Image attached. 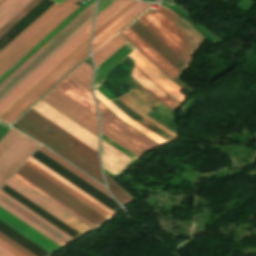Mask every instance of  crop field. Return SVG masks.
Here are the masks:
<instances>
[{"mask_svg":"<svg viewBox=\"0 0 256 256\" xmlns=\"http://www.w3.org/2000/svg\"><path fill=\"white\" fill-rule=\"evenodd\" d=\"M21 117H23L39 129H41L42 131L56 139L57 141L61 142L62 144H64L65 146H67L68 148H70L71 150H73L74 152H76L77 154H79L80 156H82L83 158H85L98 168H100L98 152L88 147L75 137L71 136L58 126L54 125L41 115L37 114L36 112L30 109ZM21 117L14 124L28 132L29 134H31L32 136H34L35 138H37L38 140H40L41 142L55 150L56 152H58L60 155H62L63 157H65L66 159H68L69 161H71L72 163H74L75 165H77L78 167H80L81 169H83L84 171H86L99 181H101L102 183H104L101 177L100 169H98L97 167H95L94 165H92L91 163H89L88 161H86L85 159H83L82 157H80L79 155H77L64 145L60 144L59 142H57L56 140H54L53 138H51L50 136H48L47 134H45L44 132H42L41 130H39L38 128H36L35 126H33Z\"/></svg>","mask_w":256,"mask_h":256,"instance_id":"crop-field-1","label":"crop field"},{"mask_svg":"<svg viewBox=\"0 0 256 256\" xmlns=\"http://www.w3.org/2000/svg\"><path fill=\"white\" fill-rule=\"evenodd\" d=\"M92 2H94V0H90L89 2L81 6L77 11H75L69 18H67L61 25H59L53 32H51L44 40H42L28 54H26L20 61H18L4 75H2L0 77V81H2L8 74H10L16 67H18L24 60H26L32 53H34L40 46H42L48 39H50L56 32H58L64 25H66L72 18H74L80 11H82ZM94 7L95 3H92L90 6L85 8L66 26H64L58 33H56L50 40H48L42 47H40L34 54H32L26 61H24L18 68H16L10 75H8L2 82H0V90L4 86H6L11 80H13L18 74H20L25 68H27L32 62H34L47 49H49L54 43H56L61 37H63L68 31H70L90 12H92L94 10ZM93 12L90 13L85 19H83L78 25H76L56 44H54L49 50H47L42 56H40L34 63H32L27 69H25L20 75H18L6 87H4L0 91V99L4 95H6L11 89H13L19 82H21L27 75H29L35 68H37L42 62H44L50 55H52L58 48H60L65 42H67L73 35H75L90 20H92Z\"/></svg>","mask_w":256,"mask_h":256,"instance_id":"crop-field-2","label":"crop field"},{"mask_svg":"<svg viewBox=\"0 0 256 256\" xmlns=\"http://www.w3.org/2000/svg\"><path fill=\"white\" fill-rule=\"evenodd\" d=\"M79 0L55 3L0 51V76L79 6Z\"/></svg>","mask_w":256,"mask_h":256,"instance_id":"crop-field-3","label":"crop field"},{"mask_svg":"<svg viewBox=\"0 0 256 256\" xmlns=\"http://www.w3.org/2000/svg\"><path fill=\"white\" fill-rule=\"evenodd\" d=\"M138 20L187 63L203 41L189 25L162 6L157 12L149 10Z\"/></svg>","mask_w":256,"mask_h":256,"instance_id":"crop-field-4","label":"crop field"},{"mask_svg":"<svg viewBox=\"0 0 256 256\" xmlns=\"http://www.w3.org/2000/svg\"><path fill=\"white\" fill-rule=\"evenodd\" d=\"M128 27L180 72L182 67L185 65V62L171 49H169L161 40H159L152 32H150L143 24L137 20ZM128 27L121 33L125 38H127L171 79L179 73Z\"/></svg>","mask_w":256,"mask_h":256,"instance_id":"crop-field-5","label":"crop field"},{"mask_svg":"<svg viewBox=\"0 0 256 256\" xmlns=\"http://www.w3.org/2000/svg\"><path fill=\"white\" fill-rule=\"evenodd\" d=\"M39 145L13 128L3 137L0 141V187Z\"/></svg>","mask_w":256,"mask_h":256,"instance_id":"crop-field-6","label":"crop field"},{"mask_svg":"<svg viewBox=\"0 0 256 256\" xmlns=\"http://www.w3.org/2000/svg\"><path fill=\"white\" fill-rule=\"evenodd\" d=\"M91 23L92 21L88 23L84 28L82 27V30H80L74 37H72L66 44H64L58 51H56L50 58H48L42 65H40L5 97H3L0 100V113H2L8 106H10L16 99H18L24 92H26L32 85H34L40 78H42L78 45H80L86 38H88L90 36Z\"/></svg>","mask_w":256,"mask_h":256,"instance_id":"crop-field-7","label":"crop field"},{"mask_svg":"<svg viewBox=\"0 0 256 256\" xmlns=\"http://www.w3.org/2000/svg\"><path fill=\"white\" fill-rule=\"evenodd\" d=\"M16 173L57 199L59 202L94 224L100 226L104 224L108 219L28 167L23 165Z\"/></svg>","mask_w":256,"mask_h":256,"instance_id":"crop-field-8","label":"crop field"},{"mask_svg":"<svg viewBox=\"0 0 256 256\" xmlns=\"http://www.w3.org/2000/svg\"><path fill=\"white\" fill-rule=\"evenodd\" d=\"M6 185L23 195L24 197H26L63 223L75 218L74 216H72L71 214H69L68 212H66L65 210H63L62 208H60L59 206H57L56 204H54L53 202H51L14 176L8 181ZM65 224L81 235L93 230L91 229L92 227H88L76 218Z\"/></svg>","mask_w":256,"mask_h":256,"instance_id":"crop-field-9","label":"crop field"},{"mask_svg":"<svg viewBox=\"0 0 256 256\" xmlns=\"http://www.w3.org/2000/svg\"><path fill=\"white\" fill-rule=\"evenodd\" d=\"M31 109L36 111L37 113L41 114L54 124L58 125L71 135L75 136L88 146L92 147L96 151L97 149V142L98 137L87 131L86 129L82 128L57 110L53 109L43 101H39L37 104H35Z\"/></svg>","mask_w":256,"mask_h":256,"instance_id":"crop-field-10","label":"crop field"},{"mask_svg":"<svg viewBox=\"0 0 256 256\" xmlns=\"http://www.w3.org/2000/svg\"><path fill=\"white\" fill-rule=\"evenodd\" d=\"M42 99L98 135L97 117L75 104L56 90L53 89Z\"/></svg>","mask_w":256,"mask_h":256,"instance_id":"crop-field-11","label":"crop field"},{"mask_svg":"<svg viewBox=\"0 0 256 256\" xmlns=\"http://www.w3.org/2000/svg\"><path fill=\"white\" fill-rule=\"evenodd\" d=\"M88 46L84 47L76 56H74L65 66H63L56 74H54L48 81L32 93L26 100H24L16 109H14L2 121L10 123L19 114H21L27 107H29L35 100H37L43 93H45L51 86H53L59 79H61L67 72H69L75 65H77L83 58L88 55Z\"/></svg>","mask_w":256,"mask_h":256,"instance_id":"crop-field-12","label":"crop field"},{"mask_svg":"<svg viewBox=\"0 0 256 256\" xmlns=\"http://www.w3.org/2000/svg\"><path fill=\"white\" fill-rule=\"evenodd\" d=\"M130 57L136 61L137 66L144 74H146L153 82H155L162 90L176 100L180 101L185 97L176 84L166 77L159 69H157L150 61H148L137 50L130 54Z\"/></svg>","mask_w":256,"mask_h":256,"instance_id":"crop-field-13","label":"crop field"},{"mask_svg":"<svg viewBox=\"0 0 256 256\" xmlns=\"http://www.w3.org/2000/svg\"><path fill=\"white\" fill-rule=\"evenodd\" d=\"M99 110L101 113V123L105 124L109 128L118 132L122 136L126 137L130 141L139 145L143 149L149 151L159 145L155 144L151 140L147 139L143 135L139 134L135 130L131 129L127 125L123 124L115 115H113L108 109H106L100 102H98Z\"/></svg>","mask_w":256,"mask_h":256,"instance_id":"crop-field-14","label":"crop field"},{"mask_svg":"<svg viewBox=\"0 0 256 256\" xmlns=\"http://www.w3.org/2000/svg\"><path fill=\"white\" fill-rule=\"evenodd\" d=\"M140 98H142L149 106H154L159 101L156 100L152 95H150L145 89H143L141 86L137 89L133 90ZM123 103H125L130 109L144 117L146 120L150 121L160 129L164 130L165 132L169 133L173 137L176 138V134L172 133L171 131L167 130L164 126L157 123L153 119L149 118L145 114L148 113L150 110L149 107H147L136 95H134L132 92L119 98Z\"/></svg>","mask_w":256,"mask_h":256,"instance_id":"crop-field-15","label":"crop field"},{"mask_svg":"<svg viewBox=\"0 0 256 256\" xmlns=\"http://www.w3.org/2000/svg\"><path fill=\"white\" fill-rule=\"evenodd\" d=\"M0 220L49 253L59 247L2 208H0Z\"/></svg>","mask_w":256,"mask_h":256,"instance_id":"crop-field-16","label":"crop field"},{"mask_svg":"<svg viewBox=\"0 0 256 256\" xmlns=\"http://www.w3.org/2000/svg\"><path fill=\"white\" fill-rule=\"evenodd\" d=\"M54 89L97 116L92 94L74 83L69 78L66 77Z\"/></svg>","mask_w":256,"mask_h":256,"instance_id":"crop-field-17","label":"crop field"},{"mask_svg":"<svg viewBox=\"0 0 256 256\" xmlns=\"http://www.w3.org/2000/svg\"><path fill=\"white\" fill-rule=\"evenodd\" d=\"M101 155L104 169L117 176L135 162L103 141Z\"/></svg>","mask_w":256,"mask_h":256,"instance_id":"crop-field-18","label":"crop field"},{"mask_svg":"<svg viewBox=\"0 0 256 256\" xmlns=\"http://www.w3.org/2000/svg\"><path fill=\"white\" fill-rule=\"evenodd\" d=\"M131 76L149 93H151L155 98L160 100L165 106L174 112L179 103L174 101L172 98L167 96L163 91H161L155 84H153L147 77H145L139 70L133 67Z\"/></svg>","mask_w":256,"mask_h":256,"instance_id":"crop-field-19","label":"crop field"},{"mask_svg":"<svg viewBox=\"0 0 256 256\" xmlns=\"http://www.w3.org/2000/svg\"><path fill=\"white\" fill-rule=\"evenodd\" d=\"M133 50L134 48L129 43H127L110 58H108L104 63L97 67L94 88L98 89L102 81L105 79L107 73Z\"/></svg>","mask_w":256,"mask_h":256,"instance_id":"crop-field-20","label":"crop field"},{"mask_svg":"<svg viewBox=\"0 0 256 256\" xmlns=\"http://www.w3.org/2000/svg\"><path fill=\"white\" fill-rule=\"evenodd\" d=\"M89 39H86L80 46H78L73 52H71L65 59H63L58 65H56L50 72H48L42 79H40L33 87H31L24 95H22L15 103H13L6 111L0 115L2 120L7 116L15 107H17L24 99H26L33 91H35L41 84H43L50 76H52L59 68H61L67 61H69L76 53H78L84 46L89 43Z\"/></svg>","mask_w":256,"mask_h":256,"instance_id":"crop-field-21","label":"crop field"},{"mask_svg":"<svg viewBox=\"0 0 256 256\" xmlns=\"http://www.w3.org/2000/svg\"><path fill=\"white\" fill-rule=\"evenodd\" d=\"M95 96L98 100H100L105 106H107L111 111H113L118 117H120L128 125L132 126L133 128H135L139 132L143 133L144 135H146L147 137H149L150 139H152L153 141L157 142L160 145L167 143L166 141H164L160 137L156 136L155 134H153L146 128L140 126L139 124H137L136 122L131 120L117 106H115L111 101H108L107 99H105L97 91H95Z\"/></svg>","mask_w":256,"mask_h":256,"instance_id":"crop-field-22","label":"crop field"},{"mask_svg":"<svg viewBox=\"0 0 256 256\" xmlns=\"http://www.w3.org/2000/svg\"><path fill=\"white\" fill-rule=\"evenodd\" d=\"M28 161H30L31 163H33L34 165H36L46 173L50 174L51 176H53L54 178H56L57 180H59L60 182H62L63 184H65L66 186H68L69 188H71L72 190H74L84 198H86L87 200H89L90 202L94 203L95 205H97L98 207H100L110 215L112 216L114 215L115 212H113L112 210H110L109 208H107L106 206H104L103 204H101L100 202H98L97 200H95L94 198H92L91 196H89L88 194H86L85 192H83L82 190H80L79 188H77L76 186H74L73 184H71L70 182H68L58 174H56L55 172H53L52 170H50L49 168H47L46 166L38 162L37 160H35L34 158L31 157Z\"/></svg>","mask_w":256,"mask_h":256,"instance_id":"crop-field-23","label":"crop field"},{"mask_svg":"<svg viewBox=\"0 0 256 256\" xmlns=\"http://www.w3.org/2000/svg\"><path fill=\"white\" fill-rule=\"evenodd\" d=\"M127 42L122 39L119 35L113 37L109 42L102 46L93 55L95 66H99L103 61L115 53L119 48H121Z\"/></svg>","mask_w":256,"mask_h":256,"instance_id":"crop-field-24","label":"crop field"},{"mask_svg":"<svg viewBox=\"0 0 256 256\" xmlns=\"http://www.w3.org/2000/svg\"><path fill=\"white\" fill-rule=\"evenodd\" d=\"M38 150H40L41 152H43L44 154H46L47 156H49L50 158H52L53 160H55L56 162H58L59 164H61L62 166H64L65 168H67L68 170H70L71 172H73L74 174H76L77 176H79L80 178H82L83 180H85L86 182H88L89 184H91L92 186H94L95 188H97L98 190H100L101 192L110 197L105 187H103L102 185H100L99 183H97L96 181H94L93 179H91L90 177H88L87 175H85L84 173H82L81 171H79L78 169H76L63 159L58 157L45 147L41 146Z\"/></svg>","mask_w":256,"mask_h":256,"instance_id":"crop-field-25","label":"crop field"},{"mask_svg":"<svg viewBox=\"0 0 256 256\" xmlns=\"http://www.w3.org/2000/svg\"><path fill=\"white\" fill-rule=\"evenodd\" d=\"M149 6L150 4L144 3L138 9H136L132 14H130L127 18H125L122 22H120L116 27H114L111 31H109L105 36H103L100 40H98L94 45H92V52H94L100 46H102L105 42H107L111 37H113L116 33H118L126 25H128L132 20H134L137 16H139Z\"/></svg>","mask_w":256,"mask_h":256,"instance_id":"crop-field-26","label":"crop field"},{"mask_svg":"<svg viewBox=\"0 0 256 256\" xmlns=\"http://www.w3.org/2000/svg\"><path fill=\"white\" fill-rule=\"evenodd\" d=\"M101 134L105 135L109 139L113 140L114 142L118 143L139 157L147 152L103 124H101Z\"/></svg>","mask_w":256,"mask_h":256,"instance_id":"crop-field-27","label":"crop field"},{"mask_svg":"<svg viewBox=\"0 0 256 256\" xmlns=\"http://www.w3.org/2000/svg\"><path fill=\"white\" fill-rule=\"evenodd\" d=\"M67 77L72 79L74 82L85 88L87 91L91 93L90 82L92 78V68L86 63H82L78 66L72 73H70Z\"/></svg>","mask_w":256,"mask_h":256,"instance_id":"crop-field-28","label":"crop field"},{"mask_svg":"<svg viewBox=\"0 0 256 256\" xmlns=\"http://www.w3.org/2000/svg\"><path fill=\"white\" fill-rule=\"evenodd\" d=\"M0 200L6 203L7 205H9L10 207H12L13 209H15L16 211H18L19 213H21L22 215H24L25 217H27L28 219H30L31 221H33L34 223H36L37 225H39L40 227H42L43 229H45L46 231H48L49 233H51L52 235H54L55 237H57L58 239H60L61 241H63L64 243L67 244L71 242L1 194H0Z\"/></svg>","mask_w":256,"mask_h":256,"instance_id":"crop-field-29","label":"crop field"},{"mask_svg":"<svg viewBox=\"0 0 256 256\" xmlns=\"http://www.w3.org/2000/svg\"><path fill=\"white\" fill-rule=\"evenodd\" d=\"M25 164H27L28 166H30L31 168H33L34 170H36L37 172H39L40 174H42L43 176H45L46 178H48L49 180H51L52 182H54L55 184H57L58 186H60L61 188H63L64 190H66L67 192H69L70 194H72L73 196H75L76 198H78L88 206H90L91 208H93L94 210H96L97 212H99L100 214H102L103 216H105L106 218L109 219L110 217H112L106 212H104L103 210H101L100 208H98L97 206H95L94 204L90 203L89 201H87L86 199H84L74 191H72L71 189H69L68 187H66L65 185H63L62 183H60L59 181H57L56 179H54L53 177H51L50 175L46 174L45 172H43L42 170H40L39 168L31 164L30 162L27 161Z\"/></svg>","mask_w":256,"mask_h":256,"instance_id":"crop-field-30","label":"crop field"},{"mask_svg":"<svg viewBox=\"0 0 256 256\" xmlns=\"http://www.w3.org/2000/svg\"><path fill=\"white\" fill-rule=\"evenodd\" d=\"M128 2H130V0H115L112 4H110L106 9L97 15L95 29H97L112 15L124 7Z\"/></svg>","mask_w":256,"mask_h":256,"instance_id":"crop-field-31","label":"crop field"},{"mask_svg":"<svg viewBox=\"0 0 256 256\" xmlns=\"http://www.w3.org/2000/svg\"><path fill=\"white\" fill-rule=\"evenodd\" d=\"M0 206L3 207L4 209H6L11 214H13L14 216H16L17 218H19L20 220H22L23 222H25L26 224H28L29 226H31L32 228H34L35 230H37L38 232H40L41 234H43L44 236H46L47 238H49L50 240H52L53 242H55L56 244H58L59 246L62 247L64 245H66L1 201H0Z\"/></svg>","mask_w":256,"mask_h":256,"instance_id":"crop-field-32","label":"crop field"},{"mask_svg":"<svg viewBox=\"0 0 256 256\" xmlns=\"http://www.w3.org/2000/svg\"><path fill=\"white\" fill-rule=\"evenodd\" d=\"M105 177L110 187L111 194H113L123 206L129 203L130 201L134 200L120 186L114 183L111 178H109L106 175Z\"/></svg>","mask_w":256,"mask_h":256,"instance_id":"crop-field-33","label":"crop field"},{"mask_svg":"<svg viewBox=\"0 0 256 256\" xmlns=\"http://www.w3.org/2000/svg\"><path fill=\"white\" fill-rule=\"evenodd\" d=\"M32 0H20L13 6L6 14L0 18V28H2L8 21H10L16 14H18L27 4Z\"/></svg>","mask_w":256,"mask_h":256,"instance_id":"crop-field-34","label":"crop field"},{"mask_svg":"<svg viewBox=\"0 0 256 256\" xmlns=\"http://www.w3.org/2000/svg\"><path fill=\"white\" fill-rule=\"evenodd\" d=\"M41 0H34L22 12H20L14 19H12L5 27L0 30V37L9 30L18 20H20L28 11L36 6Z\"/></svg>","mask_w":256,"mask_h":256,"instance_id":"crop-field-35","label":"crop field"},{"mask_svg":"<svg viewBox=\"0 0 256 256\" xmlns=\"http://www.w3.org/2000/svg\"><path fill=\"white\" fill-rule=\"evenodd\" d=\"M17 178H19L20 180H22L23 182H25L26 184L30 185L31 187H33L34 189H36L37 191H39L40 193H42L43 195H45L46 197H48L49 199H51L52 201L56 202L57 204H59L60 206H62L63 208H65L66 210H68L70 213H72L74 216H76L77 218H79L81 221H83L84 223H86L87 225H89L90 227H92L93 229L97 228L94 225H92L91 223H89L88 221H86L85 219H83L82 217H80L79 215H77L76 213H74L73 211H71L70 209H68L67 207H65L64 205H62L61 203H59L58 201H56L54 198H52L51 196H49L48 194H46L45 192H43L42 190H40L39 188H37L36 186H34L33 184H31L30 182H28L27 180H25L24 178H22L21 176H19L18 174L15 173V175Z\"/></svg>","mask_w":256,"mask_h":256,"instance_id":"crop-field-36","label":"crop field"},{"mask_svg":"<svg viewBox=\"0 0 256 256\" xmlns=\"http://www.w3.org/2000/svg\"><path fill=\"white\" fill-rule=\"evenodd\" d=\"M141 4L137 2L132 8H130L126 13H124L120 18H118L115 22H113L109 27H107L103 32H101L97 37H95L92 41V44L95 43L98 39H100L104 34H106L109 30H111L114 26H116L120 21H122L125 17H127L130 13H132L136 8H138ZM105 36V35H104ZM94 45V44H93Z\"/></svg>","mask_w":256,"mask_h":256,"instance_id":"crop-field-37","label":"crop field"},{"mask_svg":"<svg viewBox=\"0 0 256 256\" xmlns=\"http://www.w3.org/2000/svg\"><path fill=\"white\" fill-rule=\"evenodd\" d=\"M136 1L132 0L128 3L124 8H122L119 12H117L113 17H111L108 21H106L103 25H101L97 30L94 31V36H96L100 31H102L106 26H108L111 22H113L117 17H119L122 13H124L128 8H130Z\"/></svg>","mask_w":256,"mask_h":256,"instance_id":"crop-field-38","label":"crop field"},{"mask_svg":"<svg viewBox=\"0 0 256 256\" xmlns=\"http://www.w3.org/2000/svg\"><path fill=\"white\" fill-rule=\"evenodd\" d=\"M0 193L3 194L4 196H6L7 198H9L10 200H12L13 202H15L17 205H19L20 207H22L23 209H25L32 215H34L35 217H37L38 219H40L41 221H43L44 223H46L47 225H49L50 227H52L54 230H56L57 232H59L60 234H62L66 238H68L69 240H71V241L74 240L71 237H69L68 235H66L65 233H63L62 231H60L59 229H57L56 227H54L53 225H51L50 223H48L47 221H45L44 219H42L41 217H39L38 215H36L35 213H33L32 211H30L29 209H27L26 207H24L23 205H21L20 203H18L17 201H15L14 199H12L11 197H9L8 195H6L5 193H3L2 191H0Z\"/></svg>","mask_w":256,"mask_h":256,"instance_id":"crop-field-39","label":"crop field"},{"mask_svg":"<svg viewBox=\"0 0 256 256\" xmlns=\"http://www.w3.org/2000/svg\"><path fill=\"white\" fill-rule=\"evenodd\" d=\"M0 238L3 239L4 241H6L7 243H9L10 245H12L13 247H15L16 249H18L19 251H21L24 254H26L27 256H35L34 254H32L31 252H29L28 250H26L25 248L20 246L19 244H17L13 240L9 239L8 237L3 235L2 233H0Z\"/></svg>","mask_w":256,"mask_h":256,"instance_id":"crop-field-40","label":"crop field"},{"mask_svg":"<svg viewBox=\"0 0 256 256\" xmlns=\"http://www.w3.org/2000/svg\"><path fill=\"white\" fill-rule=\"evenodd\" d=\"M19 0H5L0 4V17L6 13L13 5H15Z\"/></svg>","mask_w":256,"mask_h":256,"instance_id":"crop-field-41","label":"crop field"},{"mask_svg":"<svg viewBox=\"0 0 256 256\" xmlns=\"http://www.w3.org/2000/svg\"><path fill=\"white\" fill-rule=\"evenodd\" d=\"M101 139H103L104 141L108 142L109 144H111L112 146L116 147L117 149H119L120 151L124 152L125 154H127L128 156L132 157L133 159H138L139 157L135 156L134 154H132L131 152L127 151L126 149L122 148L121 146H119L118 144L114 143L113 141L109 140L108 138H106L105 136L101 135Z\"/></svg>","mask_w":256,"mask_h":256,"instance_id":"crop-field-42","label":"crop field"},{"mask_svg":"<svg viewBox=\"0 0 256 256\" xmlns=\"http://www.w3.org/2000/svg\"><path fill=\"white\" fill-rule=\"evenodd\" d=\"M0 245L3 246L4 248H6L7 250H9L10 252H12L13 254H15L16 256H26L1 239H0Z\"/></svg>","mask_w":256,"mask_h":256,"instance_id":"crop-field-43","label":"crop field"},{"mask_svg":"<svg viewBox=\"0 0 256 256\" xmlns=\"http://www.w3.org/2000/svg\"><path fill=\"white\" fill-rule=\"evenodd\" d=\"M12 127L0 121V140Z\"/></svg>","mask_w":256,"mask_h":256,"instance_id":"crop-field-44","label":"crop field"},{"mask_svg":"<svg viewBox=\"0 0 256 256\" xmlns=\"http://www.w3.org/2000/svg\"><path fill=\"white\" fill-rule=\"evenodd\" d=\"M0 256H14L11 253H9L8 251H6L5 249H3L2 247H0Z\"/></svg>","mask_w":256,"mask_h":256,"instance_id":"crop-field-45","label":"crop field"},{"mask_svg":"<svg viewBox=\"0 0 256 256\" xmlns=\"http://www.w3.org/2000/svg\"><path fill=\"white\" fill-rule=\"evenodd\" d=\"M53 1H55L59 5V4H61L65 0H53Z\"/></svg>","mask_w":256,"mask_h":256,"instance_id":"crop-field-46","label":"crop field"},{"mask_svg":"<svg viewBox=\"0 0 256 256\" xmlns=\"http://www.w3.org/2000/svg\"><path fill=\"white\" fill-rule=\"evenodd\" d=\"M3 0H0V3L2 2Z\"/></svg>","mask_w":256,"mask_h":256,"instance_id":"crop-field-47","label":"crop field"}]
</instances>
